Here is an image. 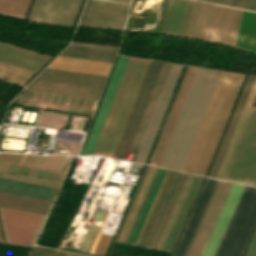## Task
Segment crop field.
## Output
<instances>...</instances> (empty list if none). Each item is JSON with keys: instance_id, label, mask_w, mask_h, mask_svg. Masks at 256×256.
<instances>
[{"instance_id": "obj_1", "label": "crop field", "mask_w": 256, "mask_h": 256, "mask_svg": "<svg viewBox=\"0 0 256 256\" xmlns=\"http://www.w3.org/2000/svg\"><path fill=\"white\" fill-rule=\"evenodd\" d=\"M243 76L221 73L182 171L205 174Z\"/></svg>"}, {"instance_id": "obj_2", "label": "crop field", "mask_w": 256, "mask_h": 256, "mask_svg": "<svg viewBox=\"0 0 256 256\" xmlns=\"http://www.w3.org/2000/svg\"><path fill=\"white\" fill-rule=\"evenodd\" d=\"M220 73L198 69L159 166L182 170Z\"/></svg>"}, {"instance_id": "obj_3", "label": "crop field", "mask_w": 256, "mask_h": 256, "mask_svg": "<svg viewBox=\"0 0 256 256\" xmlns=\"http://www.w3.org/2000/svg\"><path fill=\"white\" fill-rule=\"evenodd\" d=\"M150 62L129 59L94 154L114 156Z\"/></svg>"}, {"instance_id": "obj_4", "label": "crop field", "mask_w": 256, "mask_h": 256, "mask_svg": "<svg viewBox=\"0 0 256 256\" xmlns=\"http://www.w3.org/2000/svg\"><path fill=\"white\" fill-rule=\"evenodd\" d=\"M256 225V188L246 186L214 256H242Z\"/></svg>"}, {"instance_id": "obj_5", "label": "crop field", "mask_w": 256, "mask_h": 256, "mask_svg": "<svg viewBox=\"0 0 256 256\" xmlns=\"http://www.w3.org/2000/svg\"><path fill=\"white\" fill-rule=\"evenodd\" d=\"M256 167V108L252 109L225 179L249 184ZM256 185V170L251 183Z\"/></svg>"}, {"instance_id": "obj_6", "label": "crop field", "mask_w": 256, "mask_h": 256, "mask_svg": "<svg viewBox=\"0 0 256 256\" xmlns=\"http://www.w3.org/2000/svg\"><path fill=\"white\" fill-rule=\"evenodd\" d=\"M2 210L4 214V219H5L10 243L27 245L41 215L21 212L16 210H10V209H4V208H2ZM2 210L0 208L1 227H2L5 242H9L4 219H3ZM45 217L46 216L44 215L41 216L28 245L33 244Z\"/></svg>"}, {"instance_id": "obj_7", "label": "crop field", "mask_w": 256, "mask_h": 256, "mask_svg": "<svg viewBox=\"0 0 256 256\" xmlns=\"http://www.w3.org/2000/svg\"><path fill=\"white\" fill-rule=\"evenodd\" d=\"M243 12L214 4L205 40L235 46Z\"/></svg>"}, {"instance_id": "obj_8", "label": "crop field", "mask_w": 256, "mask_h": 256, "mask_svg": "<svg viewBox=\"0 0 256 256\" xmlns=\"http://www.w3.org/2000/svg\"><path fill=\"white\" fill-rule=\"evenodd\" d=\"M83 0H35L28 20L73 26Z\"/></svg>"}, {"instance_id": "obj_9", "label": "crop field", "mask_w": 256, "mask_h": 256, "mask_svg": "<svg viewBox=\"0 0 256 256\" xmlns=\"http://www.w3.org/2000/svg\"><path fill=\"white\" fill-rule=\"evenodd\" d=\"M129 6L88 0L78 25L124 29Z\"/></svg>"}, {"instance_id": "obj_10", "label": "crop field", "mask_w": 256, "mask_h": 256, "mask_svg": "<svg viewBox=\"0 0 256 256\" xmlns=\"http://www.w3.org/2000/svg\"><path fill=\"white\" fill-rule=\"evenodd\" d=\"M162 63L152 61L148 69L147 75L139 92L138 98L128 120L127 126L119 143L118 149L114 157L125 158L127 149L145 107L146 101L158 74Z\"/></svg>"}, {"instance_id": "obj_11", "label": "crop field", "mask_w": 256, "mask_h": 256, "mask_svg": "<svg viewBox=\"0 0 256 256\" xmlns=\"http://www.w3.org/2000/svg\"><path fill=\"white\" fill-rule=\"evenodd\" d=\"M129 58L120 56L81 155H92Z\"/></svg>"}, {"instance_id": "obj_12", "label": "crop field", "mask_w": 256, "mask_h": 256, "mask_svg": "<svg viewBox=\"0 0 256 256\" xmlns=\"http://www.w3.org/2000/svg\"><path fill=\"white\" fill-rule=\"evenodd\" d=\"M232 183L220 181L186 256H199Z\"/></svg>"}, {"instance_id": "obj_13", "label": "crop field", "mask_w": 256, "mask_h": 256, "mask_svg": "<svg viewBox=\"0 0 256 256\" xmlns=\"http://www.w3.org/2000/svg\"><path fill=\"white\" fill-rule=\"evenodd\" d=\"M244 185L233 183L200 256H213L231 218Z\"/></svg>"}, {"instance_id": "obj_14", "label": "crop field", "mask_w": 256, "mask_h": 256, "mask_svg": "<svg viewBox=\"0 0 256 256\" xmlns=\"http://www.w3.org/2000/svg\"><path fill=\"white\" fill-rule=\"evenodd\" d=\"M183 66L174 64L135 161L144 163Z\"/></svg>"}, {"instance_id": "obj_15", "label": "crop field", "mask_w": 256, "mask_h": 256, "mask_svg": "<svg viewBox=\"0 0 256 256\" xmlns=\"http://www.w3.org/2000/svg\"><path fill=\"white\" fill-rule=\"evenodd\" d=\"M207 179H206V181H207ZM206 181H205V183H206ZM218 182H219L218 180H214V179H210L209 178L207 183H206V185L204 183L205 188H204V185H203L204 190L202 188V190H203V192L201 190L202 195H201V192H200L201 197L199 195V197H200V199L198 197L199 201L197 199L198 204H197V201H196L197 206L195 204V206H196V208L194 206L195 210L193 208L194 213H193V210H192L193 215L191 213V215H192V217L190 215L191 220H190V217H189L190 222L188 220V222H189V224L187 222L188 226L186 224L187 229H186V226H185L186 231L184 229V231H185V233L183 231L184 236H183V233L181 235V238H182V236H183V238H182V240L180 238L181 242L179 240L180 245H179V242H178L179 247L177 245V247H178V249L176 247L177 251L175 249L176 254H175V251H174L175 256H185L186 255L187 250H188V248H189V246H190V244L192 242V239H193V237H194V235L196 233V230H197V228H198V226H199V224L201 222V219H202V217H203V215L205 213V210H206V208H207V206H208V204L210 202V199H211V197H212V195L214 193V190H215ZM174 254H173V256H174Z\"/></svg>"}, {"instance_id": "obj_16", "label": "crop field", "mask_w": 256, "mask_h": 256, "mask_svg": "<svg viewBox=\"0 0 256 256\" xmlns=\"http://www.w3.org/2000/svg\"><path fill=\"white\" fill-rule=\"evenodd\" d=\"M172 65L173 64H168V63L162 64L158 77L156 79V82L150 94L149 100L147 102V105L145 107V110L143 112V115L141 117V120L139 122L138 128L136 130V133L134 135V138L132 140V143L130 145L128 152L137 154V151L139 149V146L141 144L145 131L148 127V124L150 122V119L152 117V114L154 112V109L156 107V104L162 92V89L165 85V82L167 80V77L169 75ZM135 158H136V155L134 154L131 160L134 161Z\"/></svg>"}, {"instance_id": "obj_17", "label": "crop field", "mask_w": 256, "mask_h": 256, "mask_svg": "<svg viewBox=\"0 0 256 256\" xmlns=\"http://www.w3.org/2000/svg\"><path fill=\"white\" fill-rule=\"evenodd\" d=\"M256 77L248 75L208 176L216 177Z\"/></svg>"}, {"instance_id": "obj_18", "label": "crop field", "mask_w": 256, "mask_h": 256, "mask_svg": "<svg viewBox=\"0 0 256 256\" xmlns=\"http://www.w3.org/2000/svg\"><path fill=\"white\" fill-rule=\"evenodd\" d=\"M193 2L170 0L162 32L185 36Z\"/></svg>"}, {"instance_id": "obj_19", "label": "crop field", "mask_w": 256, "mask_h": 256, "mask_svg": "<svg viewBox=\"0 0 256 256\" xmlns=\"http://www.w3.org/2000/svg\"><path fill=\"white\" fill-rule=\"evenodd\" d=\"M50 57L0 43V62L36 72Z\"/></svg>"}, {"instance_id": "obj_20", "label": "crop field", "mask_w": 256, "mask_h": 256, "mask_svg": "<svg viewBox=\"0 0 256 256\" xmlns=\"http://www.w3.org/2000/svg\"><path fill=\"white\" fill-rule=\"evenodd\" d=\"M198 68L190 67L151 165L158 166Z\"/></svg>"}, {"instance_id": "obj_21", "label": "crop field", "mask_w": 256, "mask_h": 256, "mask_svg": "<svg viewBox=\"0 0 256 256\" xmlns=\"http://www.w3.org/2000/svg\"><path fill=\"white\" fill-rule=\"evenodd\" d=\"M111 64L109 62L59 56L48 68L107 76Z\"/></svg>"}, {"instance_id": "obj_22", "label": "crop field", "mask_w": 256, "mask_h": 256, "mask_svg": "<svg viewBox=\"0 0 256 256\" xmlns=\"http://www.w3.org/2000/svg\"><path fill=\"white\" fill-rule=\"evenodd\" d=\"M204 177L194 175L161 250L170 251ZM172 251V250H171Z\"/></svg>"}, {"instance_id": "obj_23", "label": "crop field", "mask_w": 256, "mask_h": 256, "mask_svg": "<svg viewBox=\"0 0 256 256\" xmlns=\"http://www.w3.org/2000/svg\"><path fill=\"white\" fill-rule=\"evenodd\" d=\"M117 49L115 47L72 42L61 55L112 62Z\"/></svg>"}, {"instance_id": "obj_24", "label": "crop field", "mask_w": 256, "mask_h": 256, "mask_svg": "<svg viewBox=\"0 0 256 256\" xmlns=\"http://www.w3.org/2000/svg\"><path fill=\"white\" fill-rule=\"evenodd\" d=\"M0 190L52 201L56 188L0 178Z\"/></svg>"}, {"instance_id": "obj_25", "label": "crop field", "mask_w": 256, "mask_h": 256, "mask_svg": "<svg viewBox=\"0 0 256 256\" xmlns=\"http://www.w3.org/2000/svg\"><path fill=\"white\" fill-rule=\"evenodd\" d=\"M52 202L0 192V207L46 215Z\"/></svg>"}, {"instance_id": "obj_26", "label": "crop field", "mask_w": 256, "mask_h": 256, "mask_svg": "<svg viewBox=\"0 0 256 256\" xmlns=\"http://www.w3.org/2000/svg\"><path fill=\"white\" fill-rule=\"evenodd\" d=\"M256 99V80L255 83L253 85V88L251 90V93L249 95V98L247 100V103L245 105V108L243 110V113L241 115V118L239 120V123L237 125V128L234 132V135L232 137V140L230 142V145L228 147V150L226 152V155L224 157V160L222 162V165L220 167V170L218 172V175L216 178H220V179H224L227 173V170L229 168L230 162L232 160V157L234 155L235 149L237 147L238 141L240 139L241 133L243 131V128L245 126L246 120L248 118L249 112L251 110V108L253 107V104L255 102Z\"/></svg>"}, {"instance_id": "obj_27", "label": "crop field", "mask_w": 256, "mask_h": 256, "mask_svg": "<svg viewBox=\"0 0 256 256\" xmlns=\"http://www.w3.org/2000/svg\"><path fill=\"white\" fill-rule=\"evenodd\" d=\"M212 6L195 1L186 37L204 40Z\"/></svg>"}, {"instance_id": "obj_28", "label": "crop field", "mask_w": 256, "mask_h": 256, "mask_svg": "<svg viewBox=\"0 0 256 256\" xmlns=\"http://www.w3.org/2000/svg\"><path fill=\"white\" fill-rule=\"evenodd\" d=\"M236 47L256 52V12L245 10Z\"/></svg>"}, {"instance_id": "obj_29", "label": "crop field", "mask_w": 256, "mask_h": 256, "mask_svg": "<svg viewBox=\"0 0 256 256\" xmlns=\"http://www.w3.org/2000/svg\"><path fill=\"white\" fill-rule=\"evenodd\" d=\"M31 0H0V14L24 18Z\"/></svg>"}, {"instance_id": "obj_30", "label": "crop field", "mask_w": 256, "mask_h": 256, "mask_svg": "<svg viewBox=\"0 0 256 256\" xmlns=\"http://www.w3.org/2000/svg\"><path fill=\"white\" fill-rule=\"evenodd\" d=\"M157 168L152 167L119 242L123 243Z\"/></svg>"}, {"instance_id": "obj_31", "label": "crop field", "mask_w": 256, "mask_h": 256, "mask_svg": "<svg viewBox=\"0 0 256 256\" xmlns=\"http://www.w3.org/2000/svg\"><path fill=\"white\" fill-rule=\"evenodd\" d=\"M162 169L158 168L124 243L129 244Z\"/></svg>"}, {"instance_id": "obj_32", "label": "crop field", "mask_w": 256, "mask_h": 256, "mask_svg": "<svg viewBox=\"0 0 256 256\" xmlns=\"http://www.w3.org/2000/svg\"><path fill=\"white\" fill-rule=\"evenodd\" d=\"M167 170L163 169L130 244L134 245Z\"/></svg>"}, {"instance_id": "obj_33", "label": "crop field", "mask_w": 256, "mask_h": 256, "mask_svg": "<svg viewBox=\"0 0 256 256\" xmlns=\"http://www.w3.org/2000/svg\"><path fill=\"white\" fill-rule=\"evenodd\" d=\"M193 175L189 174L156 249L160 250Z\"/></svg>"}, {"instance_id": "obj_34", "label": "crop field", "mask_w": 256, "mask_h": 256, "mask_svg": "<svg viewBox=\"0 0 256 256\" xmlns=\"http://www.w3.org/2000/svg\"><path fill=\"white\" fill-rule=\"evenodd\" d=\"M182 174H183V173L179 172L178 175H177V177H176V179H175V182H174V184H173V186H172V188H171V191H170V193H169V195H168V197H167V199H166V202H165V204H164V206H163V208H162V211H161V213H160V215H159V217H158V220H157V222H156V224H155V226H154V229H153V231H152V233H151V235H150V237H149V240H148V242H147V244H146V246H145V247H147V248L150 247V245H151V243H152V241H153V238H154V236H155V234H156V232H157V229H158V227H159V225H160V223H161V221H162V218H163V216H164V214H165V212H166V209H167V207H168V205H169V203H170V200H171V198H172V196H173V194H174V191H175V189H176V187H177V185H178V183H179V180H180Z\"/></svg>"}, {"instance_id": "obj_35", "label": "crop field", "mask_w": 256, "mask_h": 256, "mask_svg": "<svg viewBox=\"0 0 256 256\" xmlns=\"http://www.w3.org/2000/svg\"><path fill=\"white\" fill-rule=\"evenodd\" d=\"M200 1H206V2L222 4V5L238 7V8H240L242 4V0H200Z\"/></svg>"}, {"instance_id": "obj_36", "label": "crop field", "mask_w": 256, "mask_h": 256, "mask_svg": "<svg viewBox=\"0 0 256 256\" xmlns=\"http://www.w3.org/2000/svg\"><path fill=\"white\" fill-rule=\"evenodd\" d=\"M241 8L256 11V0H243Z\"/></svg>"}, {"instance_id": "obj_37", "label": "crop field", "mask_w": 256, "mask_h": 256, "mask_svg": "<svg viewBox=\"0 0 256 256\" xmlns=\"http://www.w3.org/2000/svg\"><path fill=\"white\" fill-rule=\"evenodd\" d=\"M255 244H256V232L254 234V237H253V239H252V241H251V243L249 245V248H248L245 256H250L251 255V253H252V251L254 249Z\"/></svg>"}, {"instance_id": "obj_38", "label": "crop field", "mask_w": 256, "mask_h": 256, "mask_svg": "<svg viewBox=\"0 0 256 256\" xmlns=\"http://www.w3.org/2000/svg\"><path fill=\"white\" fill-rule=\"evenodd\" d=\"M103 1H109V2L127 4V5H129V3H130V0H103Z\"/></svg>"}, {"instance_id": "obj_39", "label": "crop field", "mask_w": 256, "mask_h": 256, "mask_svg": "<svg viewBox=\"0 0 256 256\" xmlns=\"http://www.w3.org/2000/svg\"><path fill=\"white\" fill-rule=\"evenodd\" d=\"M65 256H83V255H77V254H72L67 252Z\"/></svg>"}, {"instance_id": "obj_40", "label": "crop field", "mask_w": 256, "mask_h": 256, "mask_svg": "<svg viewBox=\"0 0 256 256\" xmlns=\"http://www.w3.org/2000/svg\"><path fill=\"white\" fill-rule=\"evenodd\" d=\"M0 241H2V239H1V234H0Z\"/></svg>"}, {"instance_id": "obj_41", "label": "crop field", "mask_w": 256, "mask_h": 256, "mask_svg": "<svg viewBox=\"0 0 256 256\" xmlns=\"http://www.w3.org/2000/svg\"><path fill=\"white\" fill-rule=\"evenodd\" d=\"M254 256H256V253H255V255Z\"/></svg>"}]
</instances>
